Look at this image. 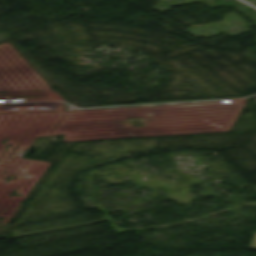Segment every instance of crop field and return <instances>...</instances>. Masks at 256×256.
<instances>
[{
	"mask_svg": "<svg viewBox=\"0 0 256 256\" xmlns=\"http://www.w3.org/2000/svg\"><path fill=\"white\" fill-rule=\"evenodd\" d=\"M249 249H254L256 250V233L253 235L252 237V241H251V244H250V248Z\"/></svg>",
	"mask_w": 256,
	"mask_h": 256,
	"instance_id": "1",
	"label": "crop field"
}]
</instances>
